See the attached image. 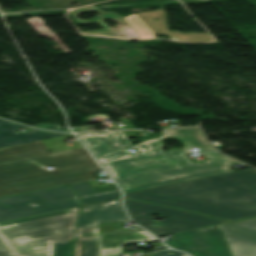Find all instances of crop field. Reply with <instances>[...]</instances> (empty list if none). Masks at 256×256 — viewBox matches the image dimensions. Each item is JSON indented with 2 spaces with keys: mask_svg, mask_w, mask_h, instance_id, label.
Listing matches in <instances>:
<instances>
[{
  "mask_svg": "<svg viewBox=\"0 0 256 256\" xmlns=\"http://www.w3.org/2000/svg\"><path fill=\"white\" fill-rule=\"evenodd\" d=\"M35 202L37 206L29 203ZM78 206L67 186L0 198V221Z\"/></svg>",
  "mask_w": 256,
  "mask_h": 256,
  "instance_id": "obj_6",
  "label": "crop field"
},
{
  "mask_svg": "<svg viewBox=\"0 0 256 256\" xmlns=\"http://www.w3.org/2000/svg\"><path fill=\"white\" fill-rule=\"evenodd\" d=\"M167 247L165 245L163 246H159V247H154V250L155 251H158V250H162V249H166Z\"/></svg>",
  "mask_w": 256,
  "mask_h": 256,
  "instance_id": "obj_19",
  "label": "crop field"
},
{
  "mask_svg": "<svg viewBox=\"0 0 256 256\" xmlns=\"http://www.w3.org/2000/svg\"><path fill=\"white\" fill-rule=\"evenodd\" d=\"M122 37H126V36H122ZM130 38H142V37H130Z\"/></svg>",
  "mask_w": 256,
  "mask_h": 256,
  "instance_id": "obj_20",
  "label": "crop field"
},
{
  "mask_svg": "<svg viewBox=\"0 0 256 256\" xmlns=\"http://www.w3.org/2000/svg\"><path fill=\"white\" fill-rule=\"evenodd\" d=\"M100 170L84 147L51 153L38 141L0 148V196L94 180Z\"/></svg>",
  "mask_w": 256,
  "mask_h": 256,
  "instance_id": "obj_3",
  "label": "crop field"
},
{
  "mask_svg": "<svg viewBox=\"0 0 256 256\" xmlns=\"http://www.w3.org/2000/svg\"><path fill=\"white\" fill-rule=\"evenodd\" d=\"M79 208L0 222V238L15 256H53V243L74 239Z\"/></svg>",
  "mask_w": 256,
  "mask_h": 256,
  "instance_id": "obj_4",
  "label": "crop field"
},
{
  "mask_svg": "<svg viewBox=\"0 0 256 256\" xmlns=\"http://www.w3.org/2000/svg\"><path fill=\"white\" fill-rule=\"evenodd\" d=\"M0 256H14L1 239H0Z\"/></svg>",
  "mask_w": 256,
  "mask_h": 256,
  "instance_id": "obj_18",
  "label": "crop field"
},
{
  "mask_svg": "<svg viewBox=\"0 0 256 256\" xmlns=\"http://www.w3.org/2000/svg\"><path fill=\"white\" fill-rule=\"evenodd\" d=\"M165 243L192 256H232L219 225L177 233Z\"/></svg>",
  "mask_w": 256,
  "mask_h": 256,
  "instance_id": "obj_7",
  "label": "crop field"
},
{
  "mask_svg": "<svg viewBox=\"0 0 256 256\" xmlns=\"http://www.w3.org/2000/svg\"><path fill=\"white\" fill-rule=\"evenodd\" d=\"M124 203L131 219L156 236L227 223L195 213L138 201L124 199ZM152 213L167 219L157 221L151 217Z\"/></svg>",
  "mask_w": 256,
  "mask_h": 256,
  "instance_id": "obj_5",
  "label": "crop field"
},
{
  "mask_svg": "<svg viewBox=\"0 0 256 256\" xmlns=\"http://www.w3.org/2000/svg\"><path fill=\"white\" fill-rule=\"evenodd\" d=\"M119 200L82 207L77 227H98L99 223L128 221Z\"/></svg>",
  "mask_w": 256,
  "mask_h": 256,
  "instance_id": "obj_10",
  "label": "crop field"
},
{
  "mask_svg": "<svg viewBox=\"0 0 256 256\" xmlns=\"http://www.w3.org/2000/svg\"><path fill=\"white\" fill-rule=\"evenodd\" d=\"M118 256V255H114ZM152 256H187L185 253H179L173 250H165L158 253L153 254Z\"/></svg>",
  "mask_w": 256,
  "mask_h": 256,
  "instance_id": "obj_17",
  "label": "crop field"
},
{
  "mask_svg": "<svg viewBox=\"0 0 256 256\" xmlns=\"http://www.w3.org/2000/svg\"><path fill=\"white\" fill-rule=\"evenodd\" d=\"M73 240L54 244V256H73Z\"/></svg>",
  "mask_w": 256,
  "mask_h": 256,
  "instance_id": "obj_15",
  "label": "crop field"
},
{
  "mask_svg": "<svg viewBox=\"0 0 256 256\" xmlns=\"http://www.w3.org/2000/svg\"><path fill=\"white\" fill-rule=\"evenodd\" d=\"M233 256H256V219L220 225Z\"/></svg>",
  "mask_w": 256,
  "mask_h": 256,
  "instance_id": "obj_9",
  "label": "crop field"
},
{
  "mask_svg": "<svg viewBox=\"0 0 256 256\" xmlns=\"http://www.w3.org/2000/svg\"><path fill=\"white\" fill-rule=\"evenodd\" d=\"M80 139L85 143L95 157L110 152L120 147L131 145V142L122 131H111L99 134L97 132L78 133ZM101 140L96 142L95 140Z\"/></svg>",
  "mask_w": 256,
  "mask_h": 256,
  "instance_id": "obj_12",
  "label": "crop field"
},
{
  "mask_svg": "<svg viewBox=\"0 0 256 256\" xmlns=\"http://www.w3.org/2000/svg\"><path fill=\"white\" fill-rule=\"evenodd\" d=\"M160 134L161 137L97 157L125 193L231 172L227 164L236 163L218 152L203 154L210 160L191 163L178 149L161 151L162 140L167 137L183 141L184 154L194 148L200 152L214 150L197 128L164 130ZM134 147L140 152L131 154L128 149Z\"/></svg>",
  "mask_w": 256,
  "mask_h": 256,
  "instance_id": "obj_1",
  "label": "crop field"
},
{
  "mask_svg": "<svg viewBox=\"0 0 256 256\" xmlns=\"http://www.w3.org/2000/svg\"><path fill=\"white\" fill-rule=\"evenodd\" d=\"M75 256H99L95 238H76Z\"/></svg>",
  "mask_w": 256,
  "mask_h": 256,
  "instance_id": "obj_14",
  "label": "crop field"
},
{
  "mask_svg": "<svg viewBox=\"0 0 256 256\" xmlns=\"http://www.w3.org/2000/svg\"><path fill=\"white\" fill-rule=\"evenodd\" d=\"M18 128H30L20 124H15L11 121L0 119V147H6L11 145H17L27 142H33L48 138L59 137L68 134L56 133V132H46L43 130L32 129L22 133H17ZM28 132H32L28 134Z\"/></svg>",
  "mask_w": 256,
  "mask_h": 256,
  "instance_id": "obj_11",
  "label": "crop field"
},
{
  "mask_svg": "<svg viewBox=\"0 0 256 256\" xmlns=\"http://www.w3.org/2000/svg\"><path fill=\"white\" fill-rule=\"evenodd\" d=\"M70 186H72L80 195L82 199V205L121 197L119 189L96 194L87 182L72 184Z\"/></svg>",
  "mask_w": 256,
  "mask_h": 256,
  "instance_id": "obj_13",
  "label": "crop field"
},
{
  "mask_svg": "<svg viewBox=\"0 0 256 256\" xmlns=\"http://www.w3.org/2000/svg\"><path fill=\"white\" fill-rule=\"evenodd\" d=\"M76 237H96L100 256L123 253L122 246L131 242L157 240L146 231L98 233V228H77Z\"/></svg>",
  "mask_w": 256,
  "mask_h": 256,
  "instance_id": "obj_8",
  "label": "crop field"
},
{
  "mask_svg": "<svg viewBox=\"0 0 256 256\" xmlns=\"http://www.w3.org/2000/svg\"><path fill=\"white\" fill-rule=\"evenodd\" d=\"M56 125H59V127H56ZM36 127H38V128H45V129L51 128L52 130H56V131H66V132L70 131L66 127H61L60 124H37Z\"/></svg>",
  "mask_w": 256,
  "mask_h": 256,
  "instance_id": "obj_16",
  "label": "crop field"
},
{
  "mask_svg": "<svg viewBox=\"0 0 256 256\" xmlns=\"http://www.w3.org/2000/svg\"><path fill=\"white\" fill-rule=\"evenodd\" d=\"M134 198L236 221L256 216V170L252 168L129 193Z\"/></svg>",
  "mask_w": 256,
  "mask_h": 256,
  "instance_id": "obj_2",
  "label": "crop field"
}]
</instances>
